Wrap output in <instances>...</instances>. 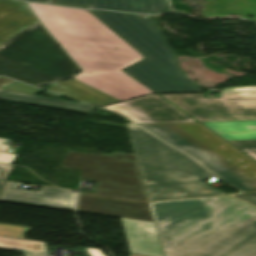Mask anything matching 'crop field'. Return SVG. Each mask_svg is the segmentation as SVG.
I'll list each match as a JSON object with an SVG mask.
<instances>
[{"label":"crop field","instance_id":"crop-field-18","mask_svg":"<svg viewBox=\"0 0 256 256\" xmlns=\"http://www.w3.org/2000/svg\"><path fill=\"white\" fill-rule=\"evenodd\" d=\"M0 248L21 251L25 256H45L48 253L44 242L0 236Z\"/></svg>","mask_w":256,"mask_h":256},{"label":"crop field","instance_id":"crop-field-1","mask_svg":"<svg viewBox=\"0 0 256 256\" xmlns=\"http://www.w3.org/2000/svg\"><path fill=\"white\" fill-rule=\"evenodd\" d=\"M164 256H256V209L230 196L148 203Z\"/></svg>","mask_w":256,"mask_h":256},{"label":"crop field","instance_id":"crop-field-17","mask_svg":"<svg viewBox=\"0 0 256 256\" xmlns=\"http://www.w3.org/2000/svg\"><path fill=\"white\" fill-rule=\"evenodd\" d=\"M0 99L32 104L37 106H43V107H49V108H55V109H61V110H67V111H73V112H79V113H85V114H90V112L93 109V106H89L85 104H79V103H74L69 101H63V100H57V99H51V98H46L41 96L27 95V94H21V93H15V92L3 91V90H0Z\"/></svg>","mask_w":256,"mask_h":256},{"label":"crop field","instance_id":"crop-field-6","mask_svg":"<svg viewBox=\"0 0 256 256\" xmlns=\"http://www.w3.org/2000/svg\"><path fill=\"white\" fill-rule=\"evenodd\" d=\"M79 70L39 21L0 45V74L23 82L39 86Z\"/></svg>","mask_w":256,"mask_h":256},{"label":"crop field","instance_id":"crop-field-28","mask_svg":"<svg viewBox=\"0 0 256 256\" xmlns=\"http://www.w3.org/2000/svg\"><path fill=\"white\" fill-rule=\"evenodd\" d=\"M32 1H38V2H44V3L51 2V0H32Z\"/></svg>","mask_w":256,"mask_h":256},{"label":"crop field","instance_id":"crop-field-12","mask_svg":"<svg viewBox=\"0 0 256 256\" xmlns=\"http://www.w3.org/2000/svg\"><path fill=\"white\" fill-rule=\"evenodd\" d=\"M121 219L131 253L163 256L154 222Z\"/></svg>","mask_w":256,"mask_h":256},{"label":"crop field","instance_id":"crop-field-13","mask_svg":"<svg viewBox=\"0 0 256 256\" xmlns=\"http://www.w3.org/2000/svg\"><path fill=\"white\" fill-rule=\"evenodd\" d=\"M256 160V121L202 123Z\"/></svg>","mask_w":256,"mask_h":256},{"label":"crop field","instance_id":"crop-field-11","mask_svg":"<svg viewBox=\"0 0 256 256\" xmlns=\"http://www.w3.org/2000/svg\"><path fill=\"white\" fill-rule=\"evenodd\" d=\"M76 210L153 221L147 203L79 195Z\"/></svg>","mask_w":256,"mask_h":256},{"label":"crop field","instance_id":"crop-field-10","mask_svg":"<svg viewBox=\"0 0 256 256\" xmlns=\"http://www.w3.org/2000/svg\"><path fill=\"white\" fill-rule=\"evenodd\" d=\"M22 183L6 181L0 199L74 210L76 194L67 190L42 187L39 192L19 190Z\"/></svg>","mask_w":256,"mask_h":256},{"label":"crop field","instance_id":"crop-field-25","mask_svg":"<svg viewBox=\"0 0 256 256\" xmlns=\"http://www.w3.org/2000/svg\"><path fill=\"white\" fill-rule=\"evenodd\" d=\"M9 140V139H5V138H0V151H6L8 149V145L6 144H2V142Z\"/></svg>","mask_w":256,"mask_h":256},{"label":"crop field","instance_id":"crop-field-29","mask_svg":"<svg viewBox=\"0 0 256 256\" xmlns=\"http://www.w3.org/2000/svg\"><path fill=\"white\" fill-rule=\"evenodd\" d=\"M130 256H143V255H135V254H130Z\"/></svg>","mask_w":256,"mask_h":256},{"label":"crop field","instance_id":"crop-field-21","mask_svg":"<svg viewBox=\"0 0 256 256\" xmlns=\"http://www.w3.org/2000/svg\"><path fill=\"white\" fill-rule=\"evenodd\" d=\"M13 166L0 164V191Z\"/></svg>","mask_w":256,"mask_h":256},{"label":"crop field","instance_id":"crop-field-3","mask_svg":"<svg viewBox=\"0 0 256 256\" xmlns=\"http://www.w3.org/2000/svg\"><path fill=\"white\" fill-rule=\"evenodd\" d=\"M127 125L148 201L224 195L200 184V180L213 175L194 160L135 124Z\"/></svg>","mask_w":256,"mask_h":256},{"label":"crop field","instance_id":"crop-field-5","mask_svg":"<svg viewBox=\"0 0 256 256\" xmlns=\"http://www.w3.org/2000/svg\"><path fill=\"white\" fill-rule=\"evenodd\" d=\"M139 125L239 190L256 191V163L200 123Z\"/></svg>","mask_w":256,"mask_h":256},{"label":"crop field","instance_id":"crop-field-9","mask_svg":"<svg viewBox=\"0 0 256 256\" xmlns=\"http://www.w3.org/2000/svg\"><path fill=\"white\" fill-rule=\"evenodd\" d=\"M136 123L196 122L159 96L144 97L108 107Z\"/></svg>","mask_w":256,"mask_h":256},{"label":"crop field","instance_id":"crop-field-16","mask_svg":"<svg viewBox=\"0 0 256 256\" xmlns=\"http://www.w3.org/2000/svg\"><path fill=\"white\" fill-rule=\"evenodd\" d=\"M46 90L99 106L120 102L119 100L75 79L59 82Z\"/></svg>","mask_w":256,"mask_h":256},{"label":"crop field","instance_id":"crop-field-15","mask_svg":"<svg viewBox=\"0 0 256 256\" xmlns=\"http://www.w3.org/2000/svg\"><path fill=\"white\" fill-rule=\"evenodd\" d=\"M56 3L98 9L155 14L167 9L166 0H55Z\"/></svg>","mask_w":256,"mask_h":256},{"label":"crop field","instance_id":"crop-field-8","mask_svg":"<svg viewBox=\"0 0 256 256\" xmlns=\"http://www.w3.org/2000/svg\"><path fill=\"white\" fill-rule=\"evenodd\" d=\"M198 121L256 120V87L221 92V98L204 95L162 96Z\"/></svg>","mask_w":256,"mask_h":256},{"label":"crop field","instance_id":"crop-field-26","mask_svg":"<svg viewBox=\"0 0 256 256\" xmlns=\"http://www.w3.org/2000/svg\"><path fill=\"white\" fill-rule=\"evenodd\" d=\"M10 81H12V80L0 76V87L5 85L6 83H8Z\"/></svg>","mask_w":256,"mask_h":256},{"label":"crop field","instance_id":"crop-field-24","mask_svg":"<svg viewBox=\"0 0 256 256\" xmlns=\"http://www.w3.org/2000/svg\"><path fill=\"white\" fill-rule=\"evenodd\" d=\"M90 256H103L99 250L85 248Z\"/></svg>","mask_w":256,"mask_h":256},{"label":"crop field","instance_id":"crop-field-4","mask_svg":"<svg viewBox=\"0 0 256 256\" xmlns=\"http://www.w3.org/2000/svg\"><path fill=\"white\" fill-rule=\"evenodd\" d=\"M90 11L146 57L124 72L157 94L203 92L188 80L149 16Z\"/></svg>","mask_w":256,"mask_h":256},{"label":"crop field","instance_id":"crop-field-23","mask_svg":"<svg viewBox=\"0 0 256 256\" xmlns=\"http://www.w3.org/2000/svg\"><path fill=\"white\" fill-rule=\"evenodd\" d=\"M19 149H13L11 154L0 153V163L12 164Z\"/></svg>","mask_w":256,"mask_h":256},{"label":"crop field","instance_id":"crop-field-14","mask_svg":"<svg viewBox=\"0 0 256 256\" xmlns=\"http://www.w3.org/2000/svg\"><path fill=\"white\" fill-rule=\"evenodd\" d=\"M36 21L24 2L0 0V44Z\"/></svg>","mask_w":256,"mask_h":256},{"label":"crop field","instance_id":"crop-field-20","mask_svg":"<svg viewBox=\"0 0 256 256\" xmlns=\"http://www.w3.org/2000/svg\"><path fill=\"white\" fill-rule=\"evenodd\" d=\"M3 90H9V91H15V92H21V93H27V94H34L37 95L38 93H40L42 90L30 87V86H26L20 83H13L5 88H3Z\"/></svg>","mask_w":256,"mask_h":256},{"label":"crop field","instance_id":"crop-field-27","mask_svg":"<svg viewBox=\"0 0 256 256\" xmlns=\"http://www.w3.org/2000/svg\"><path fill=\"white\" fill-rule=\"evenodd\" d=\"M44 96L61 99V96L49 92L44 93Z\"/></svg>","mask_w":256,"mask_h":256},{"label":"crop field","instance_id":"crop-field-7","mask_svg":"<svg viewBox=\"0 0 256 256\" xmlns=\"http://www.w3.org/2000/svg\"><path fill=\"white\" fill-rule=\"evenodd\" d=\"M62 167L82 169L80 178L97 182L95 193H80L147 201L134 154L69 151Z\"/></svg>","mask_w":256,"mask_h":256},{"label":"crop field","instance_id":"crop-field-19","mask_svg":"<svg viewBox=\"0 0 256 256\" xmlns=\"http://www.w3.org/2000/svg\"><path fill=\"white\" fill-rule=\"evenodd\" d=\"M30 230L28 227L7 225L0 223V235L24 238Z\"/></svg>","mask_w":256,"mask_h":256},{"label":"crop field","instance_id":"crop-field-2","mask_svg":"<svg viewBox=\"0 0 256 256\" xmlns=\"http://www.w3.org/2000/svg\"><path fill=\"white\" fill-rule=\"evenodd\" d=\"M29 4L84 70L75 79L121 101L153 94L120 71L143 57L90 12Z\"/></svg>","mask_w":256,"mask_h":256},{"label":"crop field","instance_id":"crop-field-22","mask_svg":"<svg viewBox=\"0 0 256 256\" xmlns=\"http://www.w3.org/2000/svg\"><path fill=\"white\" fill-rule=\"evenodd\" d=\"M233 196L256 206V193L240 194V195H233Z\"/></svg>","mask_w":256,"mask_h":256}]
</instances>
